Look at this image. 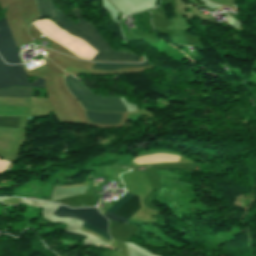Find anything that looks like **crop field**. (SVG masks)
<instances>
[{
    "label": "crop field",
    "mask_w": 256,
    "mask_h": 256,
    "mask_svg": "<svg viewBox=\"0 0 256 256\" xmlns=\"http://www.w3.org/2000/svg\"><path fill=\"white\" fill-rule=\"evenodd\" d=\"M31 87L11 86L0 89V95L30 96Z\"/></svg>",
    "instance_id": "obj_8"
},
{
    "label": "crop field",
    "mask_w": 256,
    "mask_h": 256,
    "mask_svg": "<svg viewBox=\"0 0 256 256\" xmlns=\"http://www.w3.org/2000/svg\"><path fill=\"white\" fill-rule=\"evenodd\" d=\"M132 196L133 194H130V193L125 194L117 203L111 206L107 210V212L113 213ZM139 208H140L139 197L134 195L122 207H120L116 212H114V214H117L129 219L134 213L138 211Z\"/></svg>",
    "instance_id": "obj_6"
},
{
    "label": "crop field",
    "mask_w": 256,
    "mask_h": 256,
    "mask_svg": "<svg viewBox=\"0 0 256 256\" xmlns=\"http://www.w3.org/2000/svg\"><path fill=\"white\" fill-rule=\"evenodd\" d=\"M27 74L22 65L7 66L0 58V87L11 85L35 86L44 88L42 79H38L34 84L28 83Z\"/></svg>",
    "instance_id": "obj_4"
},
{
    "label": "crop field",
    "mask_w": 256,
    "mask_h": 256,
    "mask_svg": "<svg viewBox=\"0 0 256 256\" xmlns=\"http://www.w3.org/2000/svg\"><path fill=\"white\" fill-rule=\"evenodd\" d=\"M107 219H110V220H114V221H118V222H123L125 223L126 222V218H123V217H120V216H116V215H113V214H110V213H105L104 215Z\"/></svg>",
    "instance_id": "obj_11"
},
{
    "label": "crop field",
    "mask_w": 256,
    "mask_h": 256,
    "mask_svg": "<svg viewBox=\"0 0 256 256\" xmlns=\"http://www.w3.org/2000/svg\"><path fill=\"white\" fill-rule=\"evenodd\" d=\"M150 66L147 62L143 64H102L96 63L92 68L104 69V70H117L124 67H147Z\"/></svg>",
    "instance_id": "obj_9"
},
{
    "label": "crop field",
    "mask_w": 256,
    "mask_h": 256,
    "mask_svg": "<svg viewBox=\"0 0 256 256\" xmlns=\"http://www.w3.org/2000/svg\"><path fill=\"white\" fill-rule=\"evenodd\" d=\"M20 117H0V126H18Z\"/></svg>",
    "instance_id": "obj_10"
},
{
    "label": "crop field",
    "mask_w": 256,
    "mask_h": 256,
    "mask_svg": "<svg viewBox=\"0 0 256 256\" xmlns=\"http://www.w3.org/2000/svg\"><path fill=\"white\" fill-rule=\"evenodd\" d=\"M91 123L99 125L120 124L124 113H98L85 111Z\"/></svg>",
    "instance_id": "obj_7"
},
{
    "label": "crop field",
    "mask_w": 256,
    "mask_h": 256,
    "mask_svg": "<svg viewBox=\"0 0 256 256\" xmlns=\"http://www.w3.org/2000/svg\"><path fill=\"white\" fill-rule=\"evenodd\" d=\"M37 4L40 18H53L63 27L74 24L54 6L52 0H37ZM77 20L78 24L65 27L64 29L80 37L98 52L109 47L94 27L84 21L81 17L77 18ZM138 59L139 56L137 55L115 52L109 47L99 52L92 60L138 62Z\"/></svg>",
    "instance_id": "obj_1"
},
{
    "label": "crop field",
    "mask_w": 256,
    "mask_h": 256,
    "mask_svg": "<svg viewBox=\"0 0 256 256\" xmlns=\"http://www.w3.org/2000/svg\"><path fill=\"white\" fill-rule=\"evenodd\" d=\"M54 215L59 217H75L85 223L105 232H107L108 221L103 218V216L95 208H86V209H68L64 206H60L54 213ZM83 227L93 231L94 233L110 240L109 235L85 224ZM111 241V240H110Z\"/></svg>",
    "instance_id": "obj_3"
},
{
    "label": "crop field",
    "mask_w": 256,
    "mask_h": 256,
    "mask_svg": "<svg viewBox=\"0 0 256 256\" xmlns=\"http://www.w3.org/2000/svg\"><path fill=\"white\" fill-rule=\"evenodd\" d=\"M6 18L0 20L3 21ZM0 56L6 63H21L7 21L0 23Z\"/></svg>",
    "instance_id": "obj_5"
},
{
    "label": "crop field",
    "mask_w": 256,
    "mask_h": 256,
    "mask_svg": "<svg viewBox=\"0 0 256 256\" xmlns=\"http://www.w3.org/2000/svg\"><path fill=\"white\" fill-rule=\"evenodd\" d=\"M133 163H136V164H138V165H142V164H139V163H137V162H134V161H133Z\"/></svg>",
    "instance_id": "obj_12"
},
{
    "label": "crop field",
    "mask_w": 256,
    "mask_h": 256,
    "mask_svg": "<svg viewBox=\"0 0 256 256\" xmlns=\"http://www.w3.org/2000/svg\"><path fill=\"white\" fill-rule=\"evenodd\" d=\"M65 84L74 97L82 103L95 107H124L119 98H110L91 94L80 82L70 75L65 78ZM82 103L80 104L87 110L102 112H127L125 108H95Z\"/></svg>",
    "instance_id": "obj_2"
}]
</instances>
